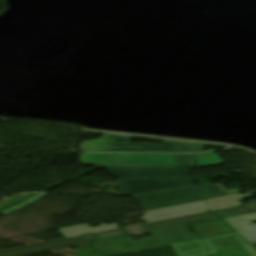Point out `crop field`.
<instances>
[{"label":"crop field","mask_w":256,"mask_h":256,"mask_svg":"<svg viewBox=\"0 0 256 256\" xmlns=\"http://www.w3.org/2000/svg\"><path fill=\"white\" fill-rule=\"evenodd\" d=\"M204 190L206 199L240 192V189L226 191L224 184L205 185ZM128 196H132L140 202L145 211L176 206L204 199L201 186H190Z\"/></svg>","instance_id":"obj_1"},{"label":"crop field","mask_w":256,"mask_h":256,"mask_svg":"<svg viewBox=\"0 0 256 256\" xmlns=\"http://www.w3.org/2000/svg\"><path fill=\"white\" fill-rule=\"evenodd\" d=\"M150 235L149 238L137 241L128 237L122 239L125 243L118 239L97 243L96 245L105 256H110L194 240L186 226L151 232Z\"/></svg>","instance_id":"obj_2"},{"label":"crop field","mask_w":256,"mask_h":256,"mask_svg":"<svg viewBox=\"0 0 256 256\" xmlns=\"http://www.w3.org/2000/svg\"><path fill=\"white\" fill-rule=\"evenodd\" d=\"M80 160L82 165L174 167L175 155L91 153Z\"/></svg>","instance_id":"obj_3"},{"label":"crop field","mask_w":256,"mask_h":256,"mask_svg":"<svg viewBox=\"0 0 256 256\" xmlns=\"http://www.w3.org/2000/svg\"><path fill=\"white\" fill-rule=\"evenodd\" d=\"M176 144H129V142H82L81 151L175 152Z\"/></svg>","instance_id":"obj_4"},{"label":"crop field","mask_w":256,"mask_h":256,"mask_svg":"<svg viewBox=\"0 0 256 256\" xmlns=\"http://www.w3.org/2000/svg\"><path fill=\"white\" fill-rule=\"evenodd\" d=\"M109 172L118 180L190 177L186 164L175 169L111 168Z\"/></svg>","instance_id":"obj_5"},{"label":"crop field","mask_w":256,"mask_h":256,"mask_svg":"<svg viewBox=\"0 0 256 256\" xmlns=\"http://www.w3.org/2000/svg\"><path fill=\"white\" fill-rule=\"evenodd\" d=\"M124 195L193 185L190 178L118 181Z\"/></svg>","instance_id":"obj_6"},{"label":"crop field","mask_w":256,"mask_h":256,"mask_svg":"<svg viewBox=\"0 0 256 256\" xmlns=\"http://www.w3.org/2000/svg\"><path fill=\"white\" fill-rule=\"evenodd\" d=\"M206 206L204 200L193 202L185 205H180L176 207L171 208H165L155 211H149L146 213V216L144 218L145 223L154 222L158 220L173 218V217H179L194 213H200L205 212Z\"/></svg>","instance_id":"obj_7"},{"label":"crop field","mask_w":256,"mask_h":256,"mask_svg":"<svg viewBox=\"0 0 256 256\" xmlns=\"http://www.w3.org/2000/svg\"><path fill=\"white\" fill-rule=\"evenodd\" d=\"M200 238L234 233L223 220L191 225Z\"/></svg>","instance_id":"obj_8"},{"label":"crop field","mask_w":256,"mask_h":256,"mask_svg":"<svg viewBox=\"0 0 256 256\" xmlns=\"http://www.w3.org/2000/svg\"><path fill=\"white\" fill-rule=\"evenodd\" d=\"M256 193V191L248 192L246 195H230V196H225V197H219V198H214V199H208L207 205L209 211L211 210H218L226 207H234V206H239L241 203L236 202V200H241V199H248L252 198L250 194ZM232 200V202H230Z\"/></svg>","instance_id":"obj_9"},{"label":"crop field","mask_w":256,"mask_h":256,"mask_svg":"<svg viewBox=\"0 0 256 256\" xmlns=\"http://www.w3.org/2000/svg\"><path fill=\"white\" fill-rule=\"evenodd\" d=\"M116 228H120V227L117 224H114V225L91 229L88 224H84V225H77V226L60 229V231L66 238H69V237H74L78 235H83L84 233H94V232L105 231V230L116 229Z\"/></svg>","instance_id":"obj_10"},{"label":"crop field","mask_w":256,"mask_h":256,"mask_svg":"<svg viewBox=\"0 0 256 256\" xmlns=\"http://www.w3.org/2000/svg\"><path fill=\"white\" fill-rule=\"evenodd\" d=\"M46 195H47V194H38V195H36V196H34V197H32V198L26 200V201H23V202H21V203L15 205V206H13V207H10V208H8V209H6V210L0 212V214H2V215L9 214V213H11V212H13V211H15V210H17V209H19V208H21V207L27 205V204H30V203H32V202H34V201H36V200H38V199H40V198L46 196Z\"/></svg>","instance_id":"obj_11"},{"label":"crop field","mask_w":256,"mask_h":256,"mask_svg":"<svg viewBox=\"0 0 256 256\" xmlns=\"http://www.w3.org/2000/svg\"><path fill=\"white\" fill-rule=\"evenodd\" d=\"M198 145H184L178 144L176 152H199Z\"/></svg>","instance_id":"obj_12"},{"label":"crop field","mask_w":256,"mask_h":256,"mask_svg":"<svg viewBox=\"0 0 256 256\" xmlns=\"http://www.w3.org/2000/svg\"><path fill=\"white\" fill-rule=\"evenodd\" d=\"M92 141H130V138L106 135V136L101 137L98 140H92Z\"/></svg>","instance_id":"obj_13"},{"label":"crop field","mask_w":256,"mask_h":256,"mask_svg":"<svg viewBox=\"0 0 256 256\" xmlns=\"http://www.w3.org/2000/svg\"><path fill=\"white\" fill-rule=\"evenodd\" d=\"M24 196H26V195H16V196H13V197H11V198H8V199H6V200L0 202V207H1V206H4V205H7V204H9V203H11V202H13V201H15V200L21 198V197H24Z\"/></svg>","instance_id":"obj_14"},{"label":"crop field","mask_w":256,"mask_h":256,"mask_svg":"<svg viewBox=\"0 0 256 256\" xmlns=\"http://www.w3.org/2000/svg\"><path fill=\"white\" fill-rule=\"evenodd\" d=\"M190 158H192V155H176V165Z\"/></svg>","instance_id":"obj_15"},{"label":"crop field","mask_w":256,"mask_h":256,"mask_svg":"<svg viewBox=\"0 0 256 256\" xmlns=\"http://www.w3.org/2000/svg\"><path fill=\"white\" fill-rule=\"evenodd\" d=\"M252 246L256 249V244H253Z\"/></svg>","instance_id":"obj_16"}]
</instances>
